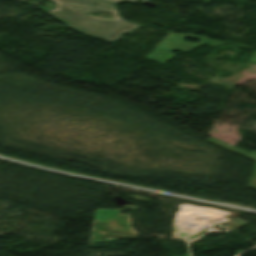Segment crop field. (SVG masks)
Returning a JSON list of instances; mask_svg holds the SVG:
<instances>
[{"label":"crop field","mask_w":256,"mask_h":256,"mask_svg":"<svg viewBox=\"0 0 256 256\" xmlns=\"http://www.w3.org/2000/svg\"><path fill=\"white\" fill-rule=\"evenodd\" d=\"M52 3L54 9H47L44 13L79 33L109 43L121 38V33L131 32L141 26L124 19L119 15L117 6L110 3L97 0H52ZM90 12L110 13L119 19L83 15Z\"/></svg>","instance_id":"1"},{"label":"crop field","mask_w":256,"mask_h":256,"mask_svg":"<svg viewBox=\"0 0 256 256\" xmlns=\"http://www.w3.org/2000/svg\"><path fill=\"white\" fill-rule=\"evenodd\" d=\"M183 37L199 38L198 44L183 42ZM206 44L210 46H218L222 43L215 42L209 39L201 38L198 36L180 35L171 33L162 43H160L151 53L145 58L160 62L162 64L168 62L173 56L171 51L180 49L181 52H188L196 46Z\"/></svg>","instance_id":"2"},{"label":"crop field","mask_w":256,"mask_h":256,"mask_svg":"<svg viewBox=\"0 0 256 256\" xmlns=\"http://www.w3.org/2000/svg\"><path fill=\"white\" fill-rule=\"evenodd\" d=\"M94 219L104 223L109 230L136 236L129 228V216L120 215L119 210L96 209Z\"/></svg>","instance_id":"3"},{"label":"crop field","mask_w":256,"mask_h":256,"mask_svg":"<svg viewBox=\"0 0 256 256\" xmlns=\"http://www.w3.org/2000/svg\"><path fill=\"white\" fill-rule=\"evenodd\" d=\"M129 236L108 231L100 222L94 221L90 242H101L114 239H123Z\"/></svg>","instance_id":"4"},{"label":"crop field","mask_w":256,"mask_h":256,"mask_svg":"<svg viewBox=\"0 0 256 256\" xmlns=\"http://www.w3.org/2000/svg\"><path fill=\"white\" fill-rule=\"evenodd\" d=\"M207 141L212 142V143L217 144V145H219V146H222V147H224V148H226V149H229V150H231V151H234V152H236V153H239V154H241V155H244V156H246V157H249V158H251V159L256 160V151H254V152H252V153H247V152H245V151H243V150H241V149H238V148H236V147H234V146H231V145H229V144H226V143H224V142H222V141H220V140H217V139H215V138H213V137L209 138Z\"/></svg>","instance_id":"5"},{"label":"crop field","mask_w":256,"mask_h":256,"mask_svg":"<svg viewBox=\"0 0 256 256\" xmlns=\"http://www.w3.org/2000/svg\"><path fill=\"white\" fill-rule=\"evenodd\" d=\"M247 187L256 190V162H254V164H253V168L251 171V175H250Z\"/></svg>","instance_id":"6"},{"label":"crop field","mask_w":256,"mask_h":256,"mask_svg":"<svg viewBox=\"0 0 256 256\" xmlns=\"http://www.w3.org/2000/svg\"><path fill=\"white\" fill-rule=\"evenodd\" d=\"M102 1H107V2H111V3L120 4L122 1L137 3L139 0H102Z\"/></svg>","instance_id":"7"},{"label":"crop field","mask_w":256,"mask_h":256,"mask_svg":"<svg viewBox=\"0 0 256 256\" xmlns=\"http://www.w3.org/2000/svg\"><path fill=\"white\" fill-rule=\"evenodd\" d=\"M250 60H252V61H256V51H254V53H253V55H252V57H251V59Z\"/></svg>","instance_id":"8"},{"label":"crop field","mask_w":256,"mask_h":256,"mask_svg":"<svg viewBox=\"0 0 256 256\" xmlns=\"http://www.w3.org/2000/svg\"><path fill=\"white\" fill-rule=\"evenodd\" d=\"M15 1L25 2V0H15Z\"/></svg>","instance_id":"9"}]
</instances>
